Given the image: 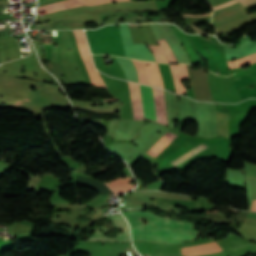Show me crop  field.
I'll return each instance as SVG.
<instances>
[{
    "label": "crop field",
    "mask_w": 256,
    "mask_h": 256,
    "mask_svg": "<svg viewBox=\"0 0 256 256\" xmlns=\"http://www.w3.org/2000/svg\"><path fill=\"white\" fill-rule=\"evenodd\" d=\"M124 216H142L150 224L182 226L187 228H170L153 225H143L140 217H126L131 231L133 240L146 239L159 242L181 243L182 240L194 239L195 230L192 223L185 221H175L168 217L155 216L148 212H122Z\"/></svg>",
    "instance_id": "crop-field-1"
},
{
    "label": "crop field",
    "mask_w": 256,
    "mask_h": 256,
    "mask_svg": "<svg viewBox=\"0 0 256 256\" xmlns=\"http://www.w3.org/2000/svg\"><path fill=\"white\" fill-rule=\"evenodd\" d=\"M214 101L236 103L243 100L231 77H219L208 73Z\"/></svg>",
    "instance_id": "crop-field-2"
},
{
    "label": "crop field",
    "mask_w": 256,
    "mask_h": 256,
    "mask_svg": "<svg viewBox=\"0 0 256 256\" xmlns=\"http://www.w3.org/2000/svg\"><path fill=\"white\" fill-rule=\"evenodd\" d=\"M237 1L239 3H237L235 0H232L214 8V11H215L220 8L237 3L232 6H229L214 12L212 23L214 24L215 27L218 24H221L229 19L244 16L245 8L256 5V0H237Z\"/></svg>",
    "instance_id": "crop-field-3"
},
{
    "label": "crop field",
    "mask_w": 256,
    "mask_h": 256,
    "mask_svg": "<svg viewBox=\"0 0 256 256\" xmlns=\"http://www.w3.org/2000/svg\"><path fill=\"white\" fill-rule=\"evenodd\" d=\"M76 37V41L78 43L80 55L82 57V60L89 72L91 82L94 86L106 88L104 82L99 77L98 72L94 69L93 63L91 61L89 49L85 40L84 32L81 30L73 31ZM107 89V88H106Z\"/></svg>",
    "instance_id": "crop-field-4"
},
{
    "label": "crop field",
    "mask_w": 256,
    "mask_h": 256,
    "mask_svg": "<svg viewBox=\"0 0 256 256\" xmlns=\"http://www.w3.org/2000/svg\"><path fill=\"white\" fill-rule=\"evenodd\" d=\"M133 62L138 70L139 80L141 83L163 87L160 72L156 63L152 64V62H146V64H152L146 66L145 62H139L136 60H133Z\"/></svg>",
    "instance_id": "crop-field-5"
},
{
    "label": "crop field",
    "mask_w": 256,
    "mask_h": 256,
    "mask_svg": "<svg viewBox=\"0 0 256 256\" xmlns=\"http://www.w3.org/2000/svg\"><path fill=\"white\" fill-rule=\"evenodd\" d=\"M113 1H120V0H64V1H60V2H55V3H50V4L39 6L37 11L61 8V7H65V6H69V5H73V4H77V3H84V5H95V4L107 3V2H113ZM82 5L83 4H78V5L65 7V8H61V9L49 10L46 12L50 13V12L63 10V9L71 8V7L82 6Z\"/></svg>",
    "instance_id": "crop-field-6"
},
{
    "label": "crop field",
    "mask_w": 256,
    "mask_h": 256,
    "mask_svg": "<svg viewBox=\"0 0 256 256\" xmlns=\"http://www.w3.org/2000/svg\"><path fill=\"white\" fill-rule=\"evenodd\" d=\"M183 254L187 256H197L207 253H217L225 250L218 242L187 246L182 249Z\"/></svg>",
    "instance_id": "crop-field-7"
},
{
    "label": "crop field",
    "mask_w": 256,
    "mask_h": 256,
    "mask_svg": "<svg viewBox=\"0 0 256 256\" xmlns=\"http://www.w3.org/2000/svg\"><path fill=\"white\" fill-rule=\"evenodd\" d=\"M169 66H170L173 78H174V74L176 76V78L173 79L174 83H175L176 91L180 94L186 92L188 96L192 97L191 89L190 88L186 89L183 86V84L181 83V81H183L184 79H187L184 65L183 64H172L174 74H173L171 64H169Z\"/></svg>",
    "instance_id": "crop-field-8"
},
{
    "label": "crop field",
    "mask_w": 256,
    "mask_h": 256,
    "mask_svg": "<svg viewBox=\"0 0 256 256\" xmlns=\"http://www.w3.org/2000/svg\"><path fill=\"white\" fill-rule=\"evenodd\" d=\"M129 83V82H128ZM133 101L134 119L143 120L142 100L139 85L129 83Z\"/></svg>",
    "instance_id": "crop-field-9"
},
{
    "label": "crop field",
    "mask_w": 256,
    "mask_h": 256,
    "mask_svg": "<svg viewBox=\"0 0 256 256\" xmlns=\"http://www.w3.org/2000/svg\"><path fill=\"white\" fill-rule=\"evenodd\" d=\"M227 122L228 114L214 112L213 127L216 136L222 135L228 137Z\"/></svg>",
    "instance_id": "crop-field-10"
},
{
    "label": "crop field",
    "mask_w": 256,
    "mask_h": 256,
    "mask_svg": "<svg viewBox=\"0 0 256 256\" xmlns=\"http://www.w3.org/2000/svg\"><path fill=\"white\" fill-rule=\"evenodd\" d=\"M118 179H120V178H118ZM118 179H116V180H118ZM113 181H115V180H113ZM113 181H111V182H113ZM129 181H132L131 179H129L128 177H126V178H124V179H120V180H118V181H115V182H113V183H110V184H108V183H106V184H108V186L116 193V195L118 196V195H121L122 193H125V192H127L128 190H130V189H132V188H134L135 186L134 185H132V184H127V182H129Z\"/></svg>",
    "instance_id": "crop-field-11"
},
{
    "label": "crop field",
    "mask_w": 256,
    "mask_h": 256,
    "mask_svg": "<svg viewBox=\"0 0 256 256\" xmlns=\"http://www.w3.org/2000/svg\"><path fill=\"white\" fill-rule=\"evenodd\" d=\"M152 198V197H149ZM154 199L155 204H161V205H168V206H174V205H185L190 207H200L201 201H185V200H173L168 199L169 201H166V199L162 198H152Z\"/></svg>",
    "instance_id": "crop-field-12"
},
{
    "label": "crop field",
    "mask_w": 256,
    "mask_h": 256,
    "mask_svg": "<svg viewBox=\"0 0 256 256\" xmlns=\"http://www.w3.org/2000/svg\"><path fill=\"white\" fill-rule=\"evenodd\" d=\"M202 149L203 148L194 145L171 162L177 166V165L181 164L182 162H184L185 160L192 157L193 155H195L196 153H198L199 151H201Z\"/></svg>",
    "instance_id": "crop-field-13"
},
{
    "label": "crop field",
    "mask_w": 256,
    "mask_h": 256,
    "mask_svg": "<svg viewBox=\"0 0 256 256\" xmlns=\"http://www.w3.org/2000/svg\"><path fill=\"white\" fill-rule=\"evenodd\" d=\"M256 62V54L244 57L235 61H227L228 67L231 69H235L239 66L247 65V64H252Z\"/></svg>",
    "instance_id": "crop-field-14"
},
{
    "label": "crop field",
    "mask_w": 256,
    "mask_h": 256,
    "mask_svg": "<svg viewBox=\"0 0 256 256\" xmlns=\"http://www.w3.org/2000/svg\"><path fill=\"white\" fill-rule=\"evenodd\" d=\"M157 62H167L158 45L147 44Z\"/></svg>",
    "instance_id": "crop-field-15"
},
{
    "label": "crop field",
    "mask_w": 256,
    "mask_h": 256,
    "mask_svg": "<svg viewBox=\"0 0 256 256\" xmlns=\"http://www.w3.org/2000/svg\"><path fill=\"white\" fill-rule=\"evenodd\" d=\"M253 204H256V199H253ZM252 211H256V205H253V210Z\"/></svg>",
    "instance_id": "crop-field-16"
},
{
    "label": "crop field",
    "mask_w": 256,
    "mask_h": 256,
    "mask_svg": "<svg viewBox=\"0 0 256 256\" xmlns=\"http://www.w3.org/2000/svg\"><path fill=\"white\" fill-rule=\"evenodd\" d=\"M247 216L256 217V214H254V213H248Z\"/></svg>",
    "instance_id": "crop-field-17"
},
{
    "label": "crop field",
    "mask_w": 256,
    "mask_h": 256,
    "mask_svg": "<svg viewBox=\"0 0 256 256\" xmlns=\"http://www.w3.org/2000/svg\"><path fill=\"white\" fill-rule=\"evenodd\" d=\"M42 38H45L44 34H41Z\"/></svg>",
    "instance_id": "crop-field-18"
},
{
    "label": "crop field",
    "mask_w": 256,
    "mask_h": 256,
    "mask_svg": "<svg viewBox=\"0 0 256 256\" xmlns=\"http://www.w3.org/2000/svg\"><path fill=\"white\" fill-rule=\"evenodd\" d=\"M106 100H115V99H105V101H106Z\"/></svg>",
    "instance_id": "crop-field-19"
},
{
    "label": "crop field",
    "mask_w": 256,
    "mask_h": 256,
    "mask_svg": "<svg viewBox=\"0 0 256 256\" xmlns=\"http://www.w3.org/2000/svg\"><path fill=\"white\" fill-rule=\"evenodd\" d=\"M106 196H108V195H105V196H103V197H106Z\"/></svg>",
    "instance_id": "crop-field-20"
}]
</instances>
